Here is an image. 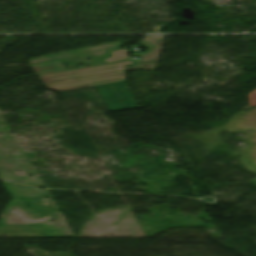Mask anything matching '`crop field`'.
Segmentation results:
<instances>
[{"instance_id": "crop-field-3", "label": "crop field", "mask_w": 256, "mask_h": 256, "mask_svg": "<svg viewBox=\"0 0 256 256\" xmlns=\"http://www.w3.org/2000/svg\"><path fill=\"white\" fill-rule=\"evenodd\" d=\"M110 53L112 54L111 57L109 59L104 60L105 62L128 58L126 55L128 53L126 49L111 51Z\"/></svg>"}, {"instance_id": "crop-field-2", "label": "crop field", "mask_w": 256, "mask_h": 256, "mask_svg": "<svg viewBox=\"0 0 256 256\" xmlns=\"http://www.w3.org/2000/svg\"><path fill=\"white\" fill-rule=\"evenodd\" d=\"M31 67L36 72L37 75L67 70L61 61L33 65Z\"/></svg>"}, {"instance_id": "crop-field-1", "label": "crop field", "mask_w": 256, "mask_h": 256, "mask_svg": "<svg viewBox=\"0 0 256 256\" xmlns=\"http://www.w3.org/2000/svg\"><path fill=\"white\" fill-rule=\"evenodd\" d=\"M131 60L38 76L47 88L57 92L94 86L111 111L137 107L125 86L124 65Z\"/></svg>"}]
</instances>
